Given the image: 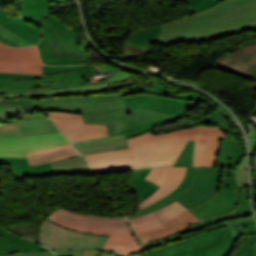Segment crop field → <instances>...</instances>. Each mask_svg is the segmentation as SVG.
<instances>
[{
	"mask_svg": "<svg viewBox=\"0 0 256 256\" xmlns=\"http://www.w3.org/2000/svg\"><path fill=\"white\" fill-rule=\"evenodd\" d=\"M123 99L128 109L148 108L171 116L188 112L199 104V102L167 98L155 94H133L124 96ZM201 102L212 106L217 111L207 118L200 119L195 125L213 124L222 127L224 132L231 137L230 140L223 138L217 168L196 167L195 181L188 189L173 199L136 216L148 214L175 200L200 220L227 212L235 207L242 216L252 214L247 200V188H237L234 180V169L245 153L218 108L207 99Z\"/></svg>",
	"mask_w": 256,
	"mask_h": 256,
	"instance_id": "obj_1",
	"label": "crop field"
},
{
	"mask_svg": "<svg viewBox=\"0 0 256 256\" xmlns=\"http://www.w3.org/2000/svg\"><path fill=\"white\" fill-rule=\"evenodd\" d=\"M222 137L226 138L225 134L214 127L190 128L157 136L149 132L128 139L129 149L85 157L93 174L154 166L144 179L161 187L139 204L142 210L174 191L182 182L186 167L172 166L188 141L195 140L193 167H214Z\"/></svg>",
	"mask_w": 256,
	"mask_h": 256,
	"instance_id": "obj_2",
	"label": "crop field"
},
{
	"mask_svg": "<svg viewBox=\"0 0 256 256\" xmlns=\"http://www.w3.org/2000/svg\"><path fill=\"white\" fill-rule=\"evenodd\" d=\"M0 101L10 105L31 107L38 111L83 114L84 123L106 124L109 135L123 133L128 127L171 117L148 109L128 110L119 92L13 100L0 98Z\"/></svg>",
	"mask_w": 256,
	"mask_h": 256,
	"instance_id": "obj_3",
	"label": "crop field"
},
{
	"mask_svg": "<svg viewBox=\"0 0 256 256\" xmlns=\"http://www.w3.org/2000/svg\"><path fill=\"white\" fill-rule=\"evenodd\" d=\"M256 25V0H223L217 5L162 25L157 41L202 38Z\"/></svg>",
	"mask_w": 256,
	"mask_h": 256,
	"instance_id": "obj_4",
	"label": "crop field"
},
{
	"mask_svg": "<svg viewBox=\"0 0 256 256\" xmlns=\"http://www.w3.org/2000/svg\"><path fill=\"white\" fill-rule=\"evenodd\" d=\"M31 23L44 30L41 42L37 45L44 64L92 63L78 46V36L75 31L62 25L59 19L46 15Z\"/></svg>",
	"mask_w": 256,
	"mask_h": 256,
	"instance_id": "obj_5",
	"label": "crop field"
},
{
	"mask_svg": "<svg viewBox=\"0 0 256 256\" xmlns=\"http://www.w3.org/2000/svg\"><path fill=\"white\" fill-rule=\"evenodd\" d=\"M96 70L92 68L46 76L0 73V95L85 86L83 76Z\"/></svg>",
	"mask_w": 256,
	"mask_h": 256,
	"instance_id": "obj_6",
	"label": "crop field"
},
{
	"mask_svg": "<svg viewBox=\"0 0 256 256\" xmlns=\"http://www.w3.org/2000/svg\"><path fill=\"white\" fill-rule=\"evenodd\" d=\"M238 238L227 229L216 230L142 256H226Z\"/></svg>",
	"mask_w": 256,
	"mask_h": 256,
	"instance_id": "obj_7",
	"label": "crop field"
},
{
	"mask_svg": "<svg viewBox=\"0 0 256 256\" xmlns=\"http://www.w3.org/2000/svg\"><path fill=\"white\" fill-rule=\"evenodd\" d=\"M46 219L70 230L109 236L101 250L118 256H128L140 251V245L129 227H95L71 222L55 213Z\"/></svg>",
	"mask_w": 256,
	"mask_h": 256,
	"instance_id": "obj_8",
	"label": "crop field"
},
{
	"mask_svg": "<svg viewBox=\"0 0 256 256\" xmlns=\"http://www.w3.org/2000/svg\"><path fill=\"white\" fill-rule=\"evenodd\" d=\"M107 237L75 232L57 226L46 219L40 228L39 242L53 250L100 249Z\"/></svg>",
	"mask_w": 256,
	"mask_h": 256,
	"instance_id": "obj_9",
	"label": "crop field"
},
{
	"mask_svg": "<svg viewBox=\"0 0 256 256\" xmlns=\"http://www.w3.org/2000/svg\"><path fill=\"white\" fill-rule=\"evenodd\" d=\"M178 202L175 201L152 212V214L165 227L162 229L137 234L136 237L141 242V244L172 235L181 229L197 221H200L189 210H187Z\"/></svg>",
	"mask_w": 256,
	"mask_h": 256,
	"instance_id": "obj_10",
	"label": "crop field"
},
{
	"mask_svg": "<svg viewBox=\"0 0 256 256\" xmlns=\"http://www.w3.org/2000/svg\"><path fill=\"white\" fill-rule=\"evenodd\" d=\"M64 137L61 133H57L26 138H2L0 157L27 158L25 153L68 144Z\"/></svg>",
	"mask_w": 256,
	"mask_h": 256,
	"instance_id": "obj_11",
	"label": "crop field"
},
{
	"mask_svg": "<svg viewBox=\"0 0 256 256\" xmlns=\"http://www.w3.org/2000/svg\"><path fill=\"white\" fill-rule=\"evenodd\" d=\"M71 143L106 136L105 125L84 124L83 116L73 113L44 112Z\"/></svg>",
	"mask_w": 256,
	"mask_h": 256,
	"instance_id": "obj_12",
	"label": "crop field"
},
{
	"mask_svg": "<svg viewBox=\"0 0 256 256\" xmlns=\"http://www.w3.org/2000/svg\"><path fill=\"white\" fill-rule=\"evenodd\" d=\"M42 64L36 47L7 48L0 46V72L42 75Z\"/></svg>",
	"mask_w": 256,
	"mask_h": 256,
	"instance_id": "obj_13",
	"label": "crop field"
},
{
	"mask_svg": "<svg viewBox=\"0 0 256 256\" xmlns=\"http://www.w3.org/2000/svg\"><path fill=\"white\" fill-rule=\"evenodd\" d=\"M49 251L38 243L0 228V256L17 252Z\"/></svg>",
	"mask_w": 256,
	"mask_h": 256,
	"instance_id": "obj_14",
	"label": "crop field"
},
{
	"mask_svg": "<svg viewBox=\"0 0 256 256\" xmlns=\"http://www.w3.org/2000/svg\"><path fill=\"white\" fill-rule=\"evenodd\" d=\"M125 134L106 136L88 141L74 143L73 145L83 154H93L112 150L125 149L127 147Z\"/></svg>",
	"mask_w": 256,
	"mask_h": 256,
	"instance_id": "obj_15",
	"label": "crop field"
},
{
	"mask_svg": "<svg viewBox=\"0 0 256 256\" xmlns=\"http://www.w3.org/2000/svg\"><path fill=\"white\" fill-rule=\"evenodd\" d=\"M193 150H194V141L188 142V144L185 146V148L183 149V151L181 152L180 156L178 157V159L176 160V162L173 166V167L187 166L185 178H184L183 182L179 185V187L174 192L169 194L168 196L164 197L160 201L154 203L153 205L149 206L148 208H146L142 211L153 208V207L173 198L174 196H176L177 194H179L180 192H182L183 190H185L192 184V182L194 180V175H195V167L192 168ZM142 211H139V213Z\"/></svg>",
	"mask_w": 256,
	"mask_h": 256,
	"instance_id": "obj_16",
	"label": "crop field"
},
{
	"mask_svg": "<svg viewBox=\"0 0 256 256\" xmlns=\"http://www.w3.org/2000/svg\"><path fill=\"white\" fill-rule=\"evenodd\" d=\"M0 25L21 35L34 45L38 43L40 38V30L18 16L9 18L2 7H0Z\"/></svg>",
	"mask_w": 256,
	"mask_h": 256,
	"instance_id": "obj_17",
	"label": "crop field"
},
{
	"mask_svg": "<svg viewBox=\"0 0 256 256\" xmlns=\"http://www.w3.org/2000/svg\"><path fill=\"white\" fill-rule=\"evenodd\" d=\"M0 164H8L14 178L43 177L51 175L49 163L29 167L27 159L0 158Z\"/></svg>",
	"mask_w": 256,
	"mask_h": 256,
	"instance_id": "obj_18",
	"label": "crop field"
},
{
	"mask_svg": "<svg viewBox=\"0 0 256 256\" xmlns=\"http://www.w3.org/2000/svg\"><path fill=\"white\" fill-rule=\"evenodd\" d=\"M26 155L28 157L30 166H34L80 154L71 144H68L64 146L28 153Z\"/></svg>",
	"mask_w": 256,
	"mask_h": 256,
	"instance_id": "obj_19",
	"label": "crop field"
},
{
	"mask_svg": "<svg viewBox=\"0 0 256 256\" xmlns=\"http://www.w3.org/2000/svg\"><path fill=\"white\" fill-rule=\"evenodd\" d=\"M160 26H151L146 29H140L132 32L128 39L125 41L127 46L134 48L152 49L150 43H155L158 37ZM153 50V49H152ZM125 56L136 57L133 51L123 50Z\"/></svg>",
	"mask_w": 256,
	"mask_h": 256,
	"instance_id": "obj_20",
	"label": "crop field"
},
{
	"mask_svg": "<svg viewBox=\"0 0 256 256\" xmlns=\"http://www.w3.org/2000/svg\"><path fill=\"white\" fill-rule=\"evenodd\" d=\"M52 175H91L82 155L52 162Z\"/></svg>",
	"mask_w": 256,
	"mask_h": 256,
	"instance_id": "obj_21",
	"label": "crop field"
},
{
	"mask_svg": "<svg viewBox=\"0 0 256 256\" xmlns=\"http://www.w3.org/2000/svg\"><path fill=\"white\" fill-rule=\"evenodd\" d=\"M54 212L59 215L83 224L95 225V226H129L125 217L120 218H101L94 216L81 215L77 213H73L61 208L56 209Z\"/></svg>",
	"mask_w": 256,
	"mask_h": 256,
	"instance_id": "obj_22",
	"label": "crop field"
},
{
	"mask_svg": "<svg viewBox=\"0 0 256 256\" xmlns=\"http://www.w3.org/2000/svg\"><path fill=\"white\" fill-rule=\"evenodd\" d=\"M120 93L122 96L127 94H133V93H156V94H160L168 97L186 99L191 101H201L206 99L197 94H175L174 92L163 87L162 85H160L158 82L154 80L138 87L137 89L121 91Z\"/></svg>",
	"mask_w": 256,
	"mask_h": 256,
	"instance_id": "obj_23",
	"label": "crop field"
},
{
	"mask_svg": "<svg viewBox=\"0 0 256 256\" xmlns=\"http://www.w3.org/2000/svg\"><path fill=\"white\" fill-rule=\"evenodd\" d=\"M21 137L60 132L49 118L18 120Z\"/></svg>",
	"mask_w": 256,
	"mask_h": 256,
	"instance_id": "obj_24",
	"label": "crop field"
},
{
	"mask_svg": "<svg viewBox=\"0 0 256 256\" xmlns=\"http://www.w3.org/2000/svg\"><path fill=\"white\" fill-rule=\"evenodd\" d=\"M150 170L132 172L127 183V186L138 196L139 203L150 196L159 187L143 179Z\"/></svg>",
	"mask_w": 256,
	"mask_h": 256,
	"instance_id": "obj_25",
	"label": "crop field"
},
{
	"mask_svg": "<svg viewBox=\"0 0 256 256\" xmlns=\"http://www.w3.org/2000/svg\"><path fill=\"white\" fill-rule=\"evenodd\" d=\"M44 114L26 108L11 107L0 103V123H18L17 119L42 118Z\"/></svg>",
	"mask_w": 256,
	"mask_h": 256,
	"instance_id": "obj_26",
	"label": "crop field"
},
{
	"mask_svg": "<svg viewBox=\"0 0 256 256\" xmlns=\"http://www.w3.org/2000/svg\"><path fill=\"white\" fill-rule=\"evenodd\" d=\"M50 1L61 2L63 0H22L20 2L21 17L27 21H32L33 19L50 14Z\"/></svg>",
	"mask_w": 256,
	"mask_h": 256,
	"instance_id": "obj_27",
	"label": "crop field"
},
{
	"mask_svg": "<svg viewBox=\"0 0 256 256\" xmlns=\"http://www.w3.org/2000/svg\"><path fill=\"white\" fill-rule=\"evenodd\" d=\"M107 86H94V87H84V88H75L68 90H58V91H48V92H40V93H32V94H24V95H16V96H8L4 98L13 99L15 97H52V96H60V95H86L100 91H106Z\"/></svg>",
	"mask_w": 256,
	"mask_h": 256,
	"instance_id": "obj_28",
	"label": "crop field"
},
{
	"mask_svg": "<svg viewBox=\"0 0 256 256\" xmlns=\"http://www.w3.org/2000/svg\"><path fill=\"white\" fill-rule=\"evenodd\" d=\"M128 222L134 234L164 227L151 213L145 216L128 219Z\"/></svg>",
	"mask_w": 256,
	"mask_h": 256,
	"instance_id": "obj_29",
	"label": "crop field"
},
{
	"mask_svg": "<svg viewBox=\"0 0 256 256\" xmlns=\"http://www.w3.org/2000/svg\"><path fill=\"white\" fill-rule=\"evenodd\" d=\"M244 229L246 231V234H253L255 235L249 237L239 248L238 250L233 254V256H256V252L253 248L252 243L256 241V226L255 222H245L243 223ZM249 246V248H248Z\"/></svg>",
	"mask_w": 256,
	"mask_h": 256,
	"instance_id": "obj_30",
	"label": "crop field"
},
{
	"mask_svg": "<svg viewBox=\"0 0 256 256\" xmlns=\"http://www.w3.org/2000/svg\"><path fill=\"white\" fill-rule=\"evenodd\" d=\"M188 116H189V112L185 113V114L177 115V116H174V117H171V118H168V119H164V120H161V121H157V122H153V123H149V124L129 128V129L126 130L125 134H126L127 137H129V136L138 134L140 132L152 129L154 127L161 126V125H164V124H167V123H170V122H173V121H176V120L188 117Z\"/></svg>",
	"mask_w": 256,
	"mask_h": 256,
	"instance_id": "obj_31",
	"label": "crop field"
},
{
	"mask_svg": "<svg viewBox=\"0 0 256 256\" xmlns=\"http://www.w3.org/2000/svg\"><path fill=\"white\" fill-rule=\"evenodd\" d=\"M254 220L252 216L250 217H246V218H241V219H236V220H232V221H227V222H223L217 226L211 227L209 229H206V231L211 230L213 228L216 227H220L223 225H226L228 230L234 235V236H240V235H246L243 229V226L241 224V222H245V221H251Z\"/></svg>",
	"mask_w": 256,
	"mask_h": 256,
	"instance_id": "obj_32",
	"label": "crop field"
},
{
	"mask_svg": "<svg viewBox=\"0 0 256 256\" xmlns=\"http://www.w3.org/2000/svg\"><path fill=\"white\" fill-rule=\"evenodd\" d=\"M174 1H180V0H174ZM188 5L187 9L189 12H197L206 8H209L221 0H186Z\"/></svg>",
	"mask_w": 256,
	"mask_h": 256,
	"instance_id": "obj_33",
	"label": "crop field"
},
{
	"mask_svg": "<svg viewBox=\"0 0 256 256\" xmlns=\"http://www.w3.org/2000/svg\"><path fill=\"white\" fill-rule=\"evenodd\" d=\"M101 70L102 73H106V72H111L112 76V80H108L105 81L106 83H112V82H120V81H124L126 79H129L131 74L122 72L120 70L117 69H112V68H108L106 66H98Z\"/></svg>",
	"mask_w": 256,
	"mask_h": 256,
	"instance_id": "obj_34",
	"label": "crop field"
},
{
	"mask_svg": "<svg viewBox=\"0 0 256 256\" xmlns=\"http://www.w3.org/2000/svg\"><path fill=\"white\" fill-rule=\"evenodd\" d=\"M94 66L92 65H81V66H70V67H51V66H45L43 65V75L46 74H53V73H59V72H65V71H74V70H81L85 68H92Z\"/></svg>",
	"mask_w": 256,
	"mask_h": 256,
	"instance_id": "obj_35",
	"label": "crop field"
},
{
	"mask_svg": "<svg viewBox=\"0 0 256 256\" xmlns=\"http://www.w3.org/2000/svg\"><path fill=\"white\" fill-rule=\"evenodd\" d=\"M235 180L238 187H247L246 158L235 172Z\"/></svg>",
	"mask_w": 256,
	"mask_h": 256,
	"instance_id": "obj_36",
	"label": "crop field"
},
{
	"mask_svg": "<svg viewBox=\"0 0 256 256\" xmlns=\"http://www.w3.org/2000/svg\"><path fill=\"white\" fill-rule=\"evenodd\" d=\"M0 35H2L3 37L21 45V46H33L30 42H28L24 38L12 33L11 31H9L1 26H0Z\"/></svg>",
	"mask_w": 256,
	"mask_h": 256,
	"instance_id": "obj_37",
	"label": "crop field"
},
{
	"mask_svg": "<svg viewBox=\"0 0 256 256\" xmlns=\"http://www.w3.org/2000/svg\"><path fill=\"white\" fill-rule=\"evenodd\" d=\"M254 29H256V26L250 27V28L241 29V30H237V31H233V32H229V33L218 34V35H214V36H210V37H206V38H202V39L187 40V42L207 41V40H211V39H215V38H219V37H223V36H227V35L243 32V31H247V30H254ZM158 43H160V45H170V44H174V43H177V42H168V43L158 42Z\"/></svg>",
	"mask_w": 256,
	"mask_h": 256,
	"instance_id": "obj_38",
	"label": "crop field"
},
{
	"mask_svg": "<svg viewBox=\"0 0 256 256\" xmlns=\"http://www.w3.org/2000/svg\"><path fill=\"white\" fill-rule=\"evenodd\" d=\"M148 78V77H146ZM146 78H143V79H146ZM141 78L139 79H136V80H132V81H128V82H124V83H119V84H109L107 85L108 86V89L111 90V89H117V88H120V87H127V86H131L132 84L138 82V81H141L143 80Z\"/></svg>",
	"mask_w": 256,
	"mask_h": 256,
	"instance_id": "obj_39",
	"label": "crop field"
},
{
	"mask_svg": "<svg viewBox=\"0 0 256 256\" xmlns=\"http://www.w3.org/2000/svg\"><path fill=\"white\" fill-rule=\"evenodd\" d=\"M10 256H55L54 254L49 252H40V253H18V254H12Z\"/></svg>",
	"mask_w": 256,
	"mask_h": 256,
	"instance_id": "obj_40",
	"label": "crop field"
},
{
	"mask_svg": "<svg viewBox=\"0 0 256 256\" xmlns=\"http://www.w3.org/2000/svg\"><path fill=\"white\" fill-rule=\"evenodd\" d=\"M55 254L60 256H81L82 251H54Z\"/></svg>",
	"mask_w": 256,
	"mask_h": 256,
	"instance_id": "obj_41",
	"label": "crop field"
},
{
	"mask_svg": "<svg viewBox=\"0 0 256 256\" xmlns=\"http://www.w3.org/2000/svg\"><path fill=\"white\" fill-rule=\"evenodd\" d=\"M19 130L18 124H0V131Z\"/></svg>",
	"mask_w": 256,
	"mask_h": 256,
	"instance_id": "obj_42",
	"label": "crop field"
},
{
	"mask_svg": "<svg viewBox=\"0 0 256 256\" xmlns=\"http://www.w3.org/2000/svg\"><path fill=\"white\" fill-rule=\"evenodd\" d=\"M2 137H20V134H19V131L0 132V138Z\"/></svg>",
	"mask_w": 256,
	"mask_h": 256,
	"instance_id": "obj_43",
	"label": "crop field"
},
{
	"mask_svg": "<svg viewBox=\"0 0 256 256\" xmlns=\"http://www.w3.org/2000/svg\"><path fill=\"white\" fill-rule=\"evenodd\" d=\"M102 251L100 250H90V251H83L82 256H99Z\"/></svg>",
	"mask_w": 256,
	"mask_h": 256,
	"instance_id": "obj_44",
	"label": "crop field"
},
{
	"mask_svg": "<svg viewBox=\"0 0 256 256\" xmlns=\"http://www.w3.org/2000/svg\"><path fill=\"white\" fill-rule=\"evenodd\" d=\"M250 155H254L256 151V141H249Z\"/></svg>",
	"mask_w": 256,
	"mask_h": 256,
	"instance_id": "obj_45",
	"label": "crop field"
},
{
	"mask_svg": "<svg viewBox=\"0 0 256 256\" xmlns=\"http://www.w3.org/2000/svg\"><path fill=\"white\" fill-rule=\"evenodd\" d=\"M0 41H1L2 43H4V44L8 45V46H19V45L13 43V42H11V41H9V40H7V39L1 37V36H0Z\"/></svg>",
	"mask_w": 256,
	"mask_h": 256,
	"instance_id": "obj_46",
	"label": "crop field"
},
{
	"mask_svg": "<svg viewBox=\"0 0 256 256\" xmlns=\"http://www.w3.org/2000/svg\"><path fill=\"white\" fill-rule=\"evenodd\" d=\"M247 139H256V129L253 126H252L251 135Z\"/></svg>",
	"mask_w": 256,
	"mask_h": 256,
	"instance_id": "obj_47",
	"label": "crop field"
},
{
	"mask_svg": "<svg viewBox=\"0 0 256 256\" xmlns=\"http://www.w3.org/2000/svg\"><path fill=\"white\" fill-rule=\"evenodd\" d=\"M181 234H182V232L179 233V234H177L176 236H174V237H172V238L164 239V240H162V241H164V242L166 243L167 241L175 240V239H177V238H180Z\"/></svg>",
	"mask_w": 256,
	"mask_h": 256,
	"instance_id": "obj_48",
	"label": "crop field"
},
{
	"mask_svg": "<svg viewBox=\"0 0 256 256\" xmlns=\"http://www.w3.org/2000/svg\"><path fill=\"white\" fill-rule=\"evenodd\" d=\"M101 256H116V255H114L112 253H108V252H102ZM133 256H137V254L133 255Z\"/></svg>",
	"mask_w": 256,
	"mask_h": 256,
	"instance_id": "obj_49",
	"label": "crop field"
},
{
	"mask_svg": "<svg viewBox=\"0 0 256 256\" xmlns=\"http://www.w3.org/2000/svg\"><path fill=\"white\" fill-rule=\"evenodd\" d=\"M146 169H150V168H146ZM136 170H145V169H136ZM127 171H135V170H126V171H117V172H127ZM117 172H109V173H117Z\"/></svg>",
	"mask_w": 256,
	"mask_h": 256,
	"instance_id": "obj_50",
	"label": "crop field"
},
{
	"mask_svg": "<svg viewBox=\"0 0 256 256\" xmlns=\"http://www.w3.org/2000/svg\"><path fill=\"white\" fill-rule=\"evenodd\" d=\"M254 161H255V168H256V157L254 158Z\"/></svg>",
	"mask_w": 256,
	"mask_h": 256,
	"instance_id": "obj_51",
	"label": "crop field"
},
{
	"mask_svg": "<svg viewBox=\"0 0 256 256\" xmlns=\"http://www.w3.org/2000/svg\"><path fill=\"white\" fill-rule=\"evenodd\" d=\"M254 247H255V249H256V243H254Z\"/></svg>",
	"mask_w": 256,
	"mask_h": 256,
	"instance_id": "obj_52",
	"label": "crop field"
},
{
	"mask_svg": "<svg viewBox=\"0 0 256 256\" xmlns=\"http://www.w3.org/2000/svg\"><path fill=\"white\" fill-rule=\"evenodd\" d=\"M0 45H4V44H2L1 42H0ZM6 46V45H5Z\"/></svg>",
	"mask_w": 256,
	"mask_h": 256,
	"instance_id": "obj_53",
	"label": "crop field"
},
{
	"mask_svg": "<svg viewBox=\"0 0 256 256\" xmlns=\"http://www.w3.org/2000/svg\"><path fill=\"white\" fill-rule=\"evenodd\" d=\"M254 113H256V109H255Z\"/></svg>",
	"mask_w": 256,
	"mask_h": 256,
	"instance_id": "obj_54",
	"label": "crop field"
},
{
	"mask_svg": "<svg viewBox=\"0 0 256 256\" xmlns=\"http://www.w3.org/2000/svg\"><path fill=\"white\" fill-rule=\"evenodd\" d=\"M255 90H256V88H255Z\"/></svg>",
	"mask_w": 256,
	"mask_h": 256,
	"instance_id": "obj_55",
	"label": "crop field"
}]
</instances>
